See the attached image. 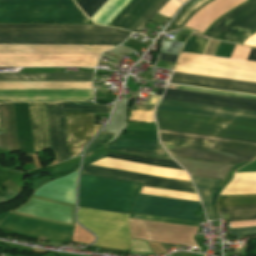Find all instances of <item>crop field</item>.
<instances>
[{"label":"crop field","instance_id":"obj_1","mask_svg":"<svg viewBox=\"0 0 256 256\" xmlns=\"http://www.w3.org/2000/svg\"><path fill=\"white\" fill-rule=\"evenodd\" d=\"M51 145L58 162L79 155L84 145L101 126L92 125L94 114L64 113L66 121L67 148L63 112L110 113L112 106H91L68 103H46Z\"/></svg>","mask_w":256,"mask_h":256},{"label":"crop field","instance_id":"obj_2","mask_svg":"<svg viewBox=\"0 0 256 256\" xmlns=\"http://www.w3.org/2000/svg\"><path fill=\"white\" fill-rule=\"evenodd\" d=\"M142 184L82 175L79 206L129 213Z\"/></svg>","mask_w":256,"mask_h":256},{"label":"crop field","instance_id":"obj_3","mask_svg":"<svg viewBox=\"0 0 256 256\" xmlns=\"http://www.w3.org/2000/svg\"><path fill=\"white\" fill-rule=\"evenodd\" d=\"M158 127L256 141V124L156 111Z\"/></svg>","mask_w":256,"mask_h":256},{"label":"crop field","instance_id":"obj_4","mask_svg":"<svg viewBox=\"0 0 256 256\" xmlns=\"http://www.w3.org/2000/svg\"><path fill=\"white\" fill-rule=\"evenodd\" d=\"M78 221L98 236L93 246L129 250L128 215L79 208Z\"/></svg>","mask_w":256,"mask_h":256},{"label":"crop field","instance_id":"obj_5","mask_svg":"<svg viewBox=\"0 0 256 256\" xmlns=\"http://www.w3.org/2000/svg\"><path fill=\"white\" fill-rule=\"evenodd\" d=\"M87 19L77 5L0 4V22L86 23Z\"/></svg>","mask_w":256,"mask_h":256},{"label":"crop field","instance_id":"obj_6","mask_svg":"<svg viewBox=\"0 0 256 256\" xmlns=\"http://www.w3.org/2000/svg\"><path fill=\"white\" fill-rule=\"evenodd\" d=\"M162 144L256 156V142L159 129Z\"/></svg>","mask_w":256,"mask_h":256},{"label":"crop field","instance_id":"obj_7","mask_svg":"<svg viewBox=\"0 0 256 256\" xmlns=\"http://www.w3.org/2000/svg\"><path fill=\"white\" fill-rule=\"evenodd\" d=\"M256 29V0H251L218 21L209 31H231L249 34ZM256 31V30H255ZM231 32H207L213 39L242 45L256 32L245 35Z\"/></svg>","mask_w":256,"mask_h":256},{"label":"crop field","instance_id":"obj_8","mask_svg":"<svg viewBox=\"0 0 256 256\" xmlns=\"http://www.w3.org/2000/svg\"><path fill=\"white\" fill-rule=\"evenodd\" d=\"M129 35L0 34V44L119 45Z\"/></svg>","mask_w":256,"mask_h":256},{"label":"crop field","instance_id":"obj_9","mask_svg":"<svg viewBox=\"0 0 256 256\" xmlns=\"http://www.w3.org/2000/svg\"><path fill=\"white\" fill-rule=\"evenodd\" d=\"M197 205L201 203L139 194L131 212L199 221L198 217H193Z\"/></svg>","mask_w":256,"mask_h":256},{"label":"crop field","instance_id":"obj_10","mask_svg":"<svg viewBox=\"0 0 256 256\" xmlns=\"http://www.w3.org/2000/svg\"><path fill=\"white\" fill-rule=\"evenodd\" d=\"M82 174L101 176V177L126 180V181H133V182H140V183H145L144 186H147V187H155V188H163V189L197 193L192 182L165 179V178H160L152 175L125 172V171L92 166V165L86 166L82 170Z\"/></svg>","mask_w":256,"mask_h":256},{"label":"crop field","instance_id":"obj_11","mask_svg":"<svg viewBox=\"0 0 256 256\" xmlns=\"http://www.w3.org/2000/svg\"><path fill=\"white\" fill-rule=\"evenodd\" d=\"M0 226L66 241H69V234L73 229L68 226L12 215L10 211L0 214Z\"/></svg>","mask_w":256,"mask_h":256},{"label":"crop field","instance_id":"obj_12","mask_svg":"<svg viewBox=\"0 0 256 256\" xmlns=\"http://www.w3.org/2000/svg\"><path fill=\"white\" fill-rule=\"evenodd\" d=\"M0 33H81L132 34L130 32L93 25L0 24Z\"/></svg>","mask_w":256,"mask_h":256},{"label":"crop field","instance_id":"obj_13","mask_svg":"<svg viewBox=\"0 0 256 256\" xmlns=\"http://www.w3.org/2000/svg\"><path fill=\"white\" fill-rule=\"evenodd\" d=\"M157 109L256 123V112L161 100Z\"/></svg>","mask_w":256,"mask_h":256},{"label":"crop field","instance_id":"obj_14","mask_svg":"<svg viewBox=\"0 0 256 256\" xmlns=\"http://www.w3.org/2000/svg\"><path fill=\"white\" fill-rule=\"evenodd\" d=\"M92 98L91 90H12L0 89V100L85 101Z\"/></svg>","mask_w":256,"mask_h":256},{"label":"crop field","instance_id":"obj_15","mask_svg":"<svg viewBox=\"0 0 256 256\" xmlns=\"http://www.w3.org/2000/svg\"><path fill=\"white\" fill-rule=\"evenodd\" d=\"M163 99L256 111V101L167 89Z\"/></svg>","mask_w":256,"mask_h":256},{"label":"crop field","instance_id":"obj_16","mask_svg":"<svg viewBox=\"0 0 256 256\" xmlns=\"http://www.w3.org/2000/svg\"><path fill=\"white\" fill-rule=\"evenodd\" d=\"M170 82L256 94V83L245 81L174 72Z\"/></svg>","mask_w":256,"mask_h":256},{"label":"crop field","instance_id":"obj_17","mask_svg":"<svg viewBox=\"0 0 256 256\" xmlns=\"http://www.w3.org/2000/svg\"><path fill=\"white\" fill-rule=\"evenodd\" d=\"M105 147L110 151L172 160L159 141L118 140L112 145H105Z\"/></svg>","mask_w":256,"mask_h":256},{"label":"crop field","instance_id":"obj_18","mask_svg":"<svg viewBox=\"0 0 256 256\" xmlns=\"http://www.w3.org/2000/svg\"><path fill=\"white\" fill-rule=\"evenodd\" d=\"M164 147L167 149V151L170 153L171 156L232 163V164H237L239 162H243L246 160L251 161L252 159L255 158L253 156L213 152V151L166 146V145H164Z\"/></svg>","mask_w":256,"mask_h":256},{"label":"crop field","instance_id":"obj_19","mask_svg":"<svg viewBox=\"0 0 256 256\" xmlns=\"http://www.w3.org/2000/svg\"><path fill=\"white\" fill-rule=\"evenodd\" d=\"M0 149L19 150L13 103L0 104Z\"/></svg>","mask_w":256,"mask_h":256},{"label":"crop field","instance_id":"obj_20","mask_svg":"<svg viewBox=\"0 0 256 256\" xmlns=\"http://www.w3.org/2000/svg\"><path fill=\"white\" fill-rule=\"evenodd\" d=\"M34 150L50 148L44 103H29Z\"/></svg>","mask_w":256,"mask_h":256},{"label":"crop field","instance_id":"obj_21","mask_svg":"<svg viewBox=\"0 0 256 256\" xmlns=\"http://www.w3.org/2000/svg\"><path fill=\"white\" fill-rule=\"evenodd\" d=\"M93 74L94 73H81V74L0 73V80L91 81Z\"/></svg>","mask_w":256,"mask_h":256},{"label":"crop field","instance_id":"obj_22","mask_svg":"<svg viewBox=\"0 0 256 256\" xmlns=\"http://www.w3.org/2000/svg\"><path fill=\"white\" fill-rule=\"evenodd\" d=\"M155 0H133L110 24L127 30Z\"/></svg>","mask_w":256,"mask_h":256},{"label":"crop field","instance_id":"obj_23","mask_svg":"<svg viewBox=\"0 0 256 256\" xmlns=\"http://www.w3.org/2000/svg\"><path fill=\"white\" fill-rule=\"evenodd\" d=\"M91 82H8L0 81V88L91 89Z\"/></svg>","mask_w":256,"mask_h":256},{"label":"crop field","instance_id":"obj_24","mask_svg":"<svg viewBox=\"0 0 256 256\" xmlns=\"http://www.w3.org/2000/svg\"><path fill=\"white\" fill-rule=\"evenodd\" d=\"M191 178L201 195L208 219L215 220L213 211H212V207H211V197H212V193H213L215 187L221 181L202 179V178H194V177H191Z\"/></svg>","mask_w":256,"mask_h":256},{"label":"crop field","instance_id":"obj_25","mask_svg":"<svg viewBox=\"0 0 256 256\" xmlns=\"http://www.w3.org/2000/svg\"><path fill=\"white\" fill-rule=\"evenodd\" d=\"M107 157L119 159V160L137 162V163L150 164V165L159 166V167L182 170L174 161H170V160L136 157V156H124L121 154H116V153H111V152L108 153Z\"/></svg>","mask_w":256,"mask_h":256},{"label":"crop field","instance_id":"obj_26","mask_svg":"<svg viewBox=\"0 0 256 256\" xmlns=\"http://www.w3.org/2000/svg\"><path fill=\"white\" fill-rule=\"evenodd\" d=\"M168 1L156 0L128 30L139 32Z\"/></svg>","mask_w":256,"mask_h":256},{"label":"crop field","instance_id":"obj_27","mask_svg":"<svg viewBox=\"0 0 256 256\" xmlns=\"http://www.w3.org/2000/svg\"><path fill=\"white\" fill-rule=\"evenodd\" d=\"M220 214L230 213V222L256 220V207L219 210Z\"/></svg>","mask_w":256,"mask_h":256},{"label":"crop field","instance_id":"obj_28","mask_svg":"<svg viewBox=\"0 0 256 256\" xmlns=\"http://www.w3.org/2000/svg\"><path fill=\"white\" fill-rule=\"evenodd\" d=\"M245 206H256V196L218 199L219 209Z\"/></svg>","mask_w":256,"mask_h":256},{"label":"crop field","instance_id":"obj_29","mask_svg":"<svg viewBox=\"0 0 256 256\" xmlns=\"http://www.w3.org/2000/svg\"><path fill=\"white\" fill-rule=\"evenodd\" d=\"M130 218L198 227V222L196 221L177 219V218L159 217V216H151V215H143V214H135V213H131Z\"/></svg>","mask_w":256,"mask_h":256},{"label":"crop field","instance_id":"obj_30","mask_svg":"<svg viewBox=\"0 0 256 256\" xmlns=\"http://www.w3.org/2000/svg\"><path fill=\"white\" fill-rule=\"evenodd\" d=\"M107 0H80L77 4L91 18Z\"/></svg>","mask_w":256,"mask_h":256},{"label":"crop field","instance_id":"obj_31","mask_svg":"<svg viewBox=\"0 0 256 256\" xmlns=\"http://www.w3.org/2000/svg\"><path fill=\"white\" fill-rule=\"evenodd\" d=\"M0 3L75 4L73 0H0Z\"/></svg>","mask_w":256,"mask_h":256},{"label":"crop field","instance_id":"obj_32","mask_svg":"<svg viewBox=\"0 0 256 256\" xmlns=\"http://www.w3.org/2000/svg\"><path fill=\"white\" fill-rule=\"evenodd\" d=\"M202 0H196L193 3H191L174 21L173 23L177 24L182 17L191 9L193 8L196 4H198L199 2H201ZM209 0H204L201 3H199L198 5H196L193 9H191L184 17L183 19L178 23V25H182L184 23V21L195 11L197 10L200 6H202L203 4H205L206 2H208Z\"/></svg>","mask_w":256,"mask_h":256},{"label":"crop field","instance_id":"obj_33","mask_svg":"<svg viewBox=\"0 0 256 256\" xmlns=\"http://www.w3.org/2000/svg\"><path fill=\"white\" fill-rule=\"evenodd\" d=\"M110 136H111V134H109V133L100 132L97 139L95 141H93L90 144V146L87 148L85 159L90 157V155L93 154L97 150V148L100 146V144L107 141L110 138Z\"/></svg>","mask_w":256,"mask_h":256},{"label":"crop field","instance_id":"obj_34","mask_svg":"<svg viewBox=\"0 0 256 256\" xmlns=\"http://www.w3.org/2000/svg\"><path fill=\"white\" fill-rule=\"evenodd\" d=\"M181 5L176 0H170L158 13L171 18Z\"/></svg>","mask_w":256,"mask_h":256},{"label":"crop field","instance_id":"obj_35","mask_svg":"<svg viewBox=\"0 0 256 256\" xmlns=\"http://www.w3.org/2000/svg\"><path fill=\"white\" fill-rule=\"evenodd\" d=\"M182 43L164 41L163 50L164 53L177 54Z\"/></svg>","mask_w":256,"mask_h":256},{"label":"crop field","instance_id":"obj_36","mask_svg":"<svg viewBox=\"0 0 256 256\" xmlns=\"http://www.w3.org/2000/svg\"><path fill=\"white\" fill-rule=\"evenodd\" d=\"M208 40L197 38L190 53L202 54ZM210 41V40H209ZM208 41V43H209ZM207 43V45H208ZM207 47V46H206ZM206 49V48H205ZM206 52V51H205ZM205 54V53H204Z\"/></svg>","mask_w":256,"mask_h":256},{"label":"crop field","instance_id":"obj_37","mask_svg":"<svg viewBox=\"0 0 256 256\" xmlns=\"http://www.w3.org/2000/svg\"><path fill=\"white\" fill-rule=\"evenodd\" d=\"M231 236L256 234V227L230 229Z\"/></svg>","mask_w":256,"mask_h":256},{"label":"crop field","instance_id":"obj_38","mask_svg":"<svg viewBox=\"0 0 256 256\" xmlns=\"http://www.w3.org/2000/svg\"><path fill=\"white\" fill-rule=\"evenodd\" d=\"M3 186H5V185H3ZM5 188H6L5 191H6L7 194L5 196H3V197H0V204L9 202V201H11V200H13V199H15L16 197L19 196L15 192H13L9 188H7L6 186H5Z\"/></svg>","mask_w":256,"mask_h":256},{"label":"crop field","instance_id":"obj_39","mask_svg":"<svg viewBox=\"0 0 256 256\" xmlns=\"http://www.w3.org/2000/svg\"><path fill=\"white\" fill-rule=\"evenodd\" d=\"M107 153L108 152H101V153L93 154L90 158L84 161L83 165L105 158L107 156Z\"/></svg>","mask_w":256,"mask_h":256},{"label":"crop field","instance_id":"obj_40","mask_svg":"<svg viewBox=\"0 0 256 256\" xmlns=\"http://www.w3.org/2000/svg\"><path fill=\"white\" fill-rule=\"evenodd\" d=\"M177 57H178V56H174V55H169V54H164V53H162V54H161V57H160V60H161V61H167V62H173V63H175Z\"/></svg>","mask_w":256,"mask_h":256},{"label":"crop field","instance_id":"obj_41","mask_svg":"<svg viewBox=\"0 0 256 256\" xmlns=\"http://www.w3.org/2000/svg\"><path fill=\"white\" fill-rule=\"evenodd\" d=\"M195 39H196V37L190 36V38H189L188 41L186 42V44H185V46H184V48H183L182 51L189 53L190 50H191V48H192V45H193Z\"/></svg>","mask_w":256,"mask_h":256},{"label":"crop field","instance_id":"obj_42","mask_svg":"<svg viewBox=\"0 0 256 256\" xmlns=\"http://www.w3.org/2000/svg\"><path fill=\"white\" fill-rule=\"evenodd\" d=\"M155 106L133 105L131 110H153Z\"/></svg>","mask_w":256,"mask_h":256},{"label":"crop field","instance_id":"obj_43","mask_svg":"<svg viewBox=\"0 0 256 256\" xmlns=\"http://www.w3.org/2000/svg\"><path fill=\"white\" fill-rule=\"evenodd\" d=\"M247 60L256 61V49L252 48Z\"/></svg>","mask_w":256,"mask_h":256},{"label":"crop field","instance_id":"obj_44","mask_svg":"<svg viewBox=\"0 0 256 256\" xmlns=\"http://www.w3.org/2000/svg\"><path fill=\"white\" fill-rule=\"evenodd\" d=\"M220 190H221V188H218V187L215 189V191L213 193V197H212V205L216 204L215 201L218 197Z\"/></svg>","mask_w":256,"mask_h":256},{"label":"crop field","instance_id":"obj_45","mask_svg":"<svg viewBox=\"0 0 256 256\" xmlns=\"http://www.w3.org/2000/svg\"><path fill=\"white\" fill-rule=\"evenodd\" d=\"M165 89L159 88L157 91V95H162Z\"/></svg>","mask_w":256,"mask_h":256},{"label":"crop field","instance_id":"obj_46","mask_svg":"<svg viewBox=\"0 0 256 256\" xmlns=\"http://www.w3.org/2000/svg\"><path fill=\"white\" fill-rule=\"evenodd\" d=\"M181 1L185 3L187 0H181Z\"/></svg>","mask_w":256,"mask_h":256},{"label":"crop field","instance_id":"obj_47","mask_svg":"<svg viewBox=\"0 0 256 256\" xmlns=\"http://www.w3.org/2000/svg\"><path fill=\"white\" fill-rule=\"evenodd\" d=\"M79 0H75V2L77 3Z\"/></svg>","mask_w":256,"mask_h":256}]
</instances>
